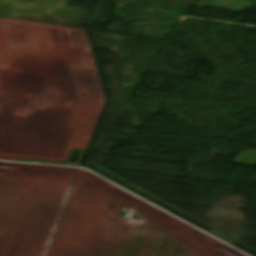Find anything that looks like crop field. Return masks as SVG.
<instances>
[{
	"label": "crop field",
	"instance_id": "obj_1",
	"mask_svg": "<svg viewBox=\"0 0 256 256\" xmlns=\"http://www.w3.org/2000/svg\"><path fill=\"white\" fill-rule=\"evenodd\" d=\"M232 163L253 166L256 164V149L239 154Z\"/></svg>",
	"mask_w": 256,
	"mask_h": 256
}]
</instances>
